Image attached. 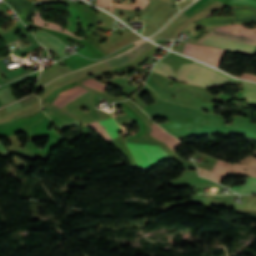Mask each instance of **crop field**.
Masks as SVG:
<instances>
[{
	"label": "crop field",
	"mask_w": 256,
	"mask_h": 256,
	"mask_svg": "<svg viewBox=\"0 0 256 256\" xmlns=\"http://www.w3.org/2000/svg\"><path fill=\"white\" fill-rule=\"evenodd\" d=\"M97 5L105 8V9L108 7L109 11L114 13L112 0H97Z\"/></svg>",
	"instance_id": "crop-field-21"
},
{
	"label": "crop field",
	"mask_w": 256,
	"mask_h": 256,
	"mask_svg": "<svg viewBox=\"0 0 256 256\" xmlns=\"http://www.w3.org/2000/svg\"><path fill=\"white\" fill-rule=\"evenodd\" d=\"M45 113L51 118L52 122L58 126L67 122H71L74 120H77L75 117L70 115L69 113L61 110L60 108L54 106V105H49L45 109Z\"/></svg>",
	"instance_id": "crop-field-10"
},
{
	"label": "crop field",
	"mask_w": 256,
	"mask_h": 256,
	"mask_svg": "<svg viewBox=\"0 0 256 256\" xmlns=\"http://www.w3.org/2000/svg\"><path fill=\"white\" fill-rule=\"evenodd\" d=\"M151 118L163 117L167 121L175 120L184 117L193 116H208L213 115L211 113H204L203 110L193 109L178 105L169 101L153 104L143 108ZM235 120L231 125L245 126L256 129V124L250 122V118L234 116ZM238 127V126H201L193 129H181L170 134L176 136L178 139L188 138L189 136H202L213 134H240L256 138V130Z\"/></svg>",
	"instance_id": "crop-field-1"
},
{
	"label": "crop field",
	"mask_w": 256,
	"mask_h": 256,
	"mask_svg": "<svg viewBox=\"0 0 256 256\" xmlns=\"http://www.w3.org/2000/svg\"><path fill=\"white\" fill-rule=\"evenodd\" d=\"M139 168L150 170L158 162L171 159L160 146L127 142Z\"/></svg>",
	"instance_id": "crop-field-4"
},
{
	"label": "crop field",
	"mask_w": 256,
	"mask_h": 256,
	"mask_svg": "<svg viewBox=\"0 0 256 256\" xmlns=\"http://www.w3.org/2000/svg\"><path fill=\"white\" fill-rule=\"evenodd\" d=\"M152 127H153V130L149 135L165 142L173 150L181 146V143L176 138L168 135L165 131H163L157 125L154 124L152 125Z\"/></svg>",
	"instance_id": "crop-field-14"
},
{
	"label": "crop field",
	"mask_w": 256,
	"mask_h": 256,
	"mask_svg": "<svg viewBox=\"0 0 256 256\" xmlns=\"http://www.w3.org/2000/svg\"><path fill=\"white\" fill-rule=\"evenodd\" d=\"M101 125L107 130V132L111 135L112 138L118 136V131H121L120 127L116 124V122L112 119L100 120Z\"/></svg>",
	"instance_id": "crop-field-17"
},
{
	"label": "crop field",
	"mask_w": 256,
	"mask_h": 256,
	"mask_svg": "<svg viewBox=\"0 0 256 256\" xmlns=\"http://www.w3.org/2000/svg\"><path fill=\"white\" fill-rule=\"evenodd\" d=\"M35 36L37 37L38 41L47 49L56 52L61 58L65 57L62 54V51L64 50L63 48H65L66 46L60 40L44 33L40 29L38 33L35 34ZM47 43H49L50 45H47Z\"/></svg>",
	"instance_id": "crop-field-9"
},
{
	"label": "crop field",
	"mask_w": 256,
	"mask_h": 256,
	"mask_svg": "<svg viewBox=\"0 0 256 256\" xmlns=\"http://www.w3.org/2000/svg\"><path fill=\"white\" fill-rule=\"evenodd\" d=\"M175 99L177 103L193 106L201 109H207L210 112H213V108L218 106L212 102H205L198 98L195 94L188 90H178Z\"/></svg>",
	"instance_id": "crop-field-6"
},
{
	"label": "crop field",
	"mask_w": 256,
	"mask_h": 256,
	"mask_svg": "<svg viewBox=\"0 0 256 256\" xmlns=\"http://www.w3.org/2000/svg\"><path fill=\"white\" fill-rule=\"evenodd\" d=\"M240 162H242L243 164L241 165L234 164L232 172H235L240 175L245 173L251 176H256V158L250 155L245 159L241 160ZM243 169H248V170L245 171Z\"/></svg>",
	"instance_id": "crop-field-12"
},
{
	"label": "crop field",
	"mask_w": 256,
	"mask_h": 256,
	"mask_svg": "<svg viewBox=\"0 0 256 256\" xmlns=\"http://www.w3.org/2000/svg\"><path fill=\"white\" fill-rule=\"evenodd\" d=\"M33 13H35L37 15V17L32 18L35 21L34 24L39 25V26H43V27H47V28H51V29H55V30H59V31L64 30L62 32L66 33V34H70V35H72V36H74L76 38L82 39L81 37L75 36L74 34L68 32L67 30L63 29L61 26H59V25H57L55 23L42 21L41 16H40V12L38 10L34 11ZM46 23L48 24L47 26H45Z\"/></svg>",
	"instance_id": "crop-field-15"
},
{
	"label": "crop field",
	"mask_w": 256,
	"mask_h": 256,
	"mask_svg": "<svg viewBox=\"0 0 256 256\" xmlns=\"http://www.w3.org/2000/svg\"><path fill=\"white\" fill-rule=\"evenodd\" d=\"M37 99H39V98L33 94V95H31V96H29V97H27V98H25V99H23V100H21L19 102L21 103L22 106H24V105H26V104H28L30 102H33V101H35Z\"/></svg>",
	"instance_id": "crop-field-22"
},
{
	"label": "crop field",
	"mask_w": 256,
	"mask_h": 256,
	"mask_svg": "<svg viewBox=\"0 0 256 256\" xmlns=\"http://www.w3.org/2000/svg\"><path fill=\"white\" fill-rule=\"evenodd\" d=\"M87 91L88 90L78 85L70 90L61 92L58 98L54 100L52 104L61 108L65 104L69 103L70 101L74 100L75 98L79 97Z\"/></svg>",
	"instance_id": "crop-field-11"
},
{
	"label": "crop field",
	"mask_w": 256,
	"mask_h": 256,
	"mask_svg": "<svg viewBox=\"0 0 256 256\" xmlns=\"http://www.w3.org/2000/svg\"><path fill=\"white\" fill-rule=\"evenodd\" d=\"M231 169L232 164L221 160H219L213 172L198 167L200 176L215 180L218 183L230 173Z\"/></svg>",
	"instance_id": "crop-field-8"
},
{
	"label": "crop field",
	"mask_w": 256,
	"mask_h": 256,
	"mask_svg": "<svg viewBox=\"0 0 256 256\" xmlns=\"http://www.w3.org/2000/svg\"><path fill=\"white\" fill-rule=\"evenodd\" d=\"M242 78H243V79H248V80L256 81V76L250 75V74H246V73H244V75L242 76Z\"/></svg>",
	"instance_id": "crop-field-25"
},
{
	"label": "crop field",
	"mask_w": 256,
	"mask_h": 256,
	"mask_svg": "<svg viewBox=\"0 0 256 256\" xmlns=\"http://www.w3.org/2000/svg\"><path fill=\"white\" fill-rule=\"evenodd\" d=\"M224 51L223 49L185 43L183 53L217 67Z\"/></svg>",
	"instance_id": "crop-field-5"
},
{
	"label": "crop field",
	"mask_w": 256,
	"mask_h": 256,
	"mask_svg": "<svg viewBox=\"0 0 256 256\" xmlns=\"http://www.w3.org/2000/svg\"><path fill=\"white\" fill-rule=\"evenodd\" d=\"M150 0H137V2L133 6H128V5H115L116 7L119 8H127V9H144V7L148 4Z\"/></svg>",
	"instance_id": "crop-field-20"
},
{
	"label": "crop field",
	"mask_w": 256,
	"mask_h": 256,
	"mask_svg": "<svg viewBox=\"0 0 256 256\" xmlns=\"http://www.w3.org/2000/svg\"><path fill=\"white\" fill-rule=\"evenodd\" d=\"M234 3H241V4H254L256 5V1L254 0H231Z\"/></svg>",
	"instance_id": "crop-field-24"
},
{
	"label": "crop field",
	"mask_w": 256,
	"mask_h": 256,
	"mask_svg": "<svg viewBox=\"0 0 256 256\" xmlns=\"http://www.w3.org/2000/svg\"><path fill=\"white\" fill-rule=\"evenodd\" d=\"M161 61V60H160ZM157 62L154 70L177 80L186 83H195L203 87H210L228 83H240L244 85L245 90L241 96L248 99V102L256 104V84L238 81L217 70L211 69L198 62L193 64H183L175 74L173 68L165 63Z\"/></svg>",
	"instance_id": "crop-field-2"
},
{
	"label": "crop field",
	"mask_w": 256,
	"mask_h": 256,
	"mask_svg": "<svg viewBox=\"0 0 256 256\" xmlns=\"http://www.w3.org/2000/svg\"><path fill=\"white\" fill-rule=\"evenodd\" d=\"M84 85H86L88 87H91L93 89H96V90L103 91V92H105L106 86H107L105 84H102V83L98 82L97 80H95L93 78L84 81Z\"/></svg>",
	"instance_id": "crop-field-19"
},
{
	"label": "crop field",
	"mask_w": 256,
	"mask_h": 256,
	"mask_svg": "<svg viewBox=\"0 0 256 256\" xmlns=\"http://www.w3.org/2000/svg\"><path fill=\"white\" fill-rule=\"evenodd\" d=\"M86 125L96 130L101 137L108 135V133L105 131V129L100 125L98 121ZM103 139H105L108 143L112 141V138L109 135L103 137Z\"/></svg>",
	"instance_id": "crop-field-18"
},
{
	"label": "crop field",
	"mask_w": 256,
	"mask_h": 256,
	"mask_svg": "<svg viewBox=\"0 0 256 256\" xmlns=\"http://www.w3.org/2000/svg\"><path fill=\"white\" fill-rule=\"evenodd\" d=\"M222 32L256 39V29L244 28L243 25H228L215 28Z\"/></svg>",
	"instance_id": "crop-field-13"
},
{
	"label": "crop field",
	"mask_w": 256,
	"mask_h": 256,
	"mask_svg": "<svg viewBox=\"0 0 256 256\" xmlns=\"http://www.w3.org/2000/svg\"><path fill=\"white\" fill-rule=\"evenodd\" d=\"M231 189L238 193H256V178H249L245 185L233 186Z\"/></svg>",
	"instance_id": "crop-field-16"
},
{
	"label": "crop field",
	"mask_w": 256,
	"mask_h": 256,
	"mask_svg": "<svg viewBox=\"0 0 256 256\" xmlns=\"http://www.w3.org/2000/svg\"><path fill=\"white\" fill-rule=\"evenodd\" d=\"M151 44L147 41V42L143 43L142 45L126 52L123 55L103 61V64L106 66V68L121 66V65L125 64L127 61L131 60L132 58H134L137 55H139L140 53H142L143 51L152 47L153 45H151Z\"/></svg>",
	"instance_id": "crop-field-7"
},
{
	"label": "crop field",
	"mask_w": 256,
	"mask_h": 256,
	"mask_svg": "<svg viewBox=\"0 0 256 256\" xmlns=\"http://www.w3.org/2000/svg\"><path fill=\"white\" fill-rule=\"evenodd\" d=\"M78 124H82V123L79 120H77V121H74V122H71V123H68V124L58 126L57 128H58L59 131H61V130H64L66 128L78 125Z\"/></svg>",
	"instance_id": "crop-field-23"
},
{
	"label": "crop field",
	"mask_w": 256,
	"mask_h": 256,
	"mask_svg": "<svg viewBox=\"0 0 256 256\" xmlns=\"http://www.w3.org/2000/svg\"><path fill=\"white\" fill-rule=\"evenodd\" d=\"M188 42L224 48L248 55L256 54V40L222 33L215 29L206 32L198 39H192Z\"/></svg>",
	"instance_id": "crop-field-3"
}]
</instances>
